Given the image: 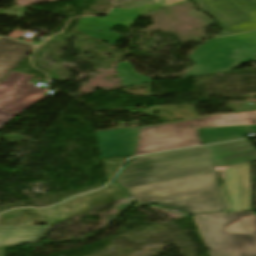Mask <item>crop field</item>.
Listing matches in <instances>:
<instances>
[{
	"mask_svg": "<svg viewBox=\"0 0 256 256\" xmlns=\"http://www.w3.org/2000/svg\"><path fill=\"white\" fill-rule=\"evenodd\" d=\"M251 124H256V112L216 115L140 129L135 155L201 144L196 128Z\"/></svg>",
	"mask_w": 256,
	"mask_h": 256,
	"instance_id": "3",
	"label": "crop field"
},
{
	"mask_svg": "<svg viewBox=\"0 0 256 256\" xmlns=\"http://www.w3.org/2000/svg\"><path fill=\"white\" fill-rule=\"evenodd\" d=\"M33 76L12 71L0 82V128L42 98L45 90L28 82Z\"/></svg>",
	"mask_w": 256,
	"mask_h": 256,
	"instance_id": "4",
	"label": "crop field"
},
{
	"mask_svg": "<svg viewBox=\"0 0 256 256\" xmlns=\"http://www.w3.org/2000/svg\"><path fill=\"white\" fill-rule=\"evenodd\" d=\"M212 256H256L253 211L197 217Z\"/></svg>",
	"mask_w": 256,
	"mask_h": 256,
	"instance_id": "2",
	"label": "crop field"
},
{
	"mask_svg": "<svg viewBox=\"0 0 256 256\" xmlns=\"http://www.w3.org/2000/svg\"><path fill=\"white\" fill-rule=\"evenodd\" d=\"M116 71L118 73V77L122 79V86L151 81L149 78L138 74L129 61L119 62Z\"/></svg>",
	"mask_w": 256,
	"mask_h": 256,
	"instance_id": "11",
	"label": "crop field"
},
{
	"mask_svg": "<svg viewBox=\"0 0 256 256\" xmlns=\"http://www.w3.org/2000/svg\"><path fill=\"white\" fill-rule=\"evenodd\" d=\"M202 144L245 138L256 133V125L197 129Z\"/></svg>",
	"mask_w": 256,
	"mask_h": 256,
	"instance_id": "10",
	"label": "crop field"
},
{
	"mask_svg": "<svg viewBox=\"0 0 256 256\" xmlns=\"http://www.w3.org/2000/svg\"><path fill=\"white\" fill-rule=\"evenodd\" d=\"M215 169L256 161V149L247 141L205 147Z\"/></svg>",
	"mask_w": 256,
	"mask_h": 256,
	"instance_id": "7",
	"label": "crop field"
},
{
	"mask_svg": "<svg viewBox=\"0 0 256 256\" xmlns=\"http://www.w3.org/2000/svg\"><path fill=\"white\" fill-rule=\"evenodd\" d=\"M155 5H145L141 8H112L108 15L101 19L97 17H83L80 19L76 30L116 45L122 35L110 32L108 29L119 24L131 27L139 15L157 11L161 6H170L188 0H163Z\"/></svg>",
	"mask_w": 256,
	"mask_h": 256,
	"instance_id": "5",
	"label": "crop field"
},
{
	"mask_svg": "<svg viewBox=\"0 0 256 256\" xmlns=\"http://www.w3.org/2000/svg\"><path fill=\"white\" fill-rule=\"evenodd\" d=\"M226 182L223 191L231 206L227 212L252 210L249 164L227 169Z\"/></svg>",
	"mask_w": 256,
	"mask_h": 256,
	"instance_id": "6",
	"label": "crop field"
},
{
	"mask_svg": "<svg viewBox=\"0 0 256 256\" xmlns=\"http://www.w3.org/2000/svg\"><path fill=\"white\" fill-rule=\"evenodd\" d=\"M35 47L0 38V80L19 64Z\"/></svg>",
	"mask_w": 256,
	"mask_h": 256,
	"instance_id": "8",
	"label": "crop field"
},
{
	"mask_svg": "<svg viewBox=\"0 0 256 256\" xmlns=\"http://www.w3.org/2000/svg\"><path fill=\"white\" fill-rule=\"evenodd\" d=\"M52 227L0 226V247L38 243Z\"/></svg>",
	"mask_w": 256,
	"mask_h": 256,
	"instance_id": "9",
	"label": "crop field"
},
{
	"mask_svg": "<svg viewBox=\"0 0 256 256\" xmlns=\"http://www.w3.org/2000/svg\"><path fill=\"white\" fill-rule=\"evenodd\" d=\"M116 180L138 204L195 215L227 209L204 147L135 157Z\"/></svg>",
	"mask_w": 256,
	"mask_h": 256,
	"instance_id": "1",
	"label": "crop field"
},
{
	"mask_svg": "<svg viewBox=\"0 0 256 256\" xmlns=\"http://www.w3.org/2000/svg\"><path fill=\"white\" fill-rule=\"evenodd\" d=\"M48 1H54V0H16V5L26 6L30 4H35L39 2H48Z\"/></svg>",
	"mask_w": 256,
	"mask_h": 256,
	"instance_id": "12",
	"label": "crop field"
},
{
	"mask_svg": "<svg viewBox=\"0 0 256 256\" xmlns=\"http://www.w3.org/2000/svg\"><path fill=\"white\" fill-rule=\"evenodd\" d=\"M5 248L0 249V256H4Z\"/></svg>",
	"mask_w": 256,
	"mask_h": 256,
	"instance_id": "13",
	"label": "crop field"
}]
</instances>
